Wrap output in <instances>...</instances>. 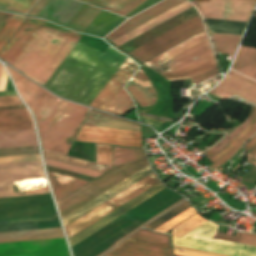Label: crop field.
<instances>
[{
    "label": "crop field",
    "mask_w": 256,
    "mask_h": 256,
    "mask_svg": "<svg viewBox=\"0 0 256 256\" xmlns=\"http://www.w3.org/2000/svg\"><path fill=\"white\" fill-rule=\"evenodd\" d=\"M126 58L110 46L102 53L78 42L44 87L89 106Z\"/></svg>",
    "instance_id": "1"
},
{
    "label": "crop field",
    "mask_w": 256,
    "mask_h": 256,
    "mask_svg": "<svg viewBox=\"0 0 256 256\" xmlns=\"http://www.w3.org/2000/svg\"><path fill=\"white\" fill-rule=\"evenodd\" d=\"M42 149L66 155L87 108L52 96L39 88L31 106Z\"/></svg>",
    "instance_id": "2"
},
{
    "label": "crop field",
    "mask_w": 256,
    "mask_h": 256,
    "mask_svg": "<svg viewBox=\"0 0 256 256\" xmlns=\"http://www.w3.org/2000/svg\"><path fill=\"white\" fill-rule=\"evenodd\" d=\"M81 36L47 22L12 67L43 86Z\"/></svg>",
    "instance_id": "3"
},
{
    "label": "crop field",
    "mask_w": 256,
    "mask_h": 256,
    "mask_svg": "<svg viewBox=\"0 0 256 256\" xmlns=\"http://www.w3.org/2000/svg\"><path fill=\"white\" fill-rule=\"evenodd\" d=\"M143 65L174 82L190 79L217 63L202 32Z\"/></svg>",
    "instance_id": "4"
},
{
    "label": "crop field",
    "mask_w": 256,
    "mask_h": 256,
    "mask_svg": "<svg viewBox=\"0 0 256 256\" xmlns=\"http://www.w3.org/2000/svg\"><path fill=\"white\" fill-rule=\"evenodd\" d=\"M64 237L61 228L0 233V242ZM0 256H69L64 238L0 243Z\"/></svg>",
    "instance_id": "5"
},
{
    "label": "crop field",
    "mask_w": 256,
    "mask_h": 256,
    "mask_svg": "<svg viewBox=\"0 0 256 256\" xmlns=\"http://www.w3.org/2000/svg\"><path fill=\"white\" fill-rule=\"evenodd\" d=\"M146 165H148V163L145 159L115 167L106 172L91 183L57 203L61 218L69 215Z\"/></svg>",
    "instance_id": "6"
},
{
    "label": "crop field",
    "mask_w": 256,
    "mask_h": 256,
    "mask_svg": "<svg viewBox=\"0 0 256 256\" xmlns=\"http://www.w3.org/2000/svg\"><path fill=\"white\" fill-rule=\"evenodd\" d=\"M218 226L205 222L180 239L173 238V245L227 256H256V247L211 239Z\"/></svg>",
    "instance_id": "7"
},
{
    "label": "crop field",
    "mask_w": 256,
    "mask_h": 256,
    "mask_svg": "<svg viewBox=\"0 0 256 256\" xmlns=\"http://www.w3.org/2000/svg\"><path fill=\"white\" fill-rule=\"evenodd\" d=\"M159 182L154 174H150L144 179L140 180L136 184L132 185L128 189L124 190L123 192L119 193L115 197L111 198L107 202L103 203L99 207L95 208L94 210L90 211L86 215L82 216L78 220L74 221L70 225L66 226V232L68 238L72 237L73 235L77 234L81 230L85 229L92 223L96 222L103 216L107 215L111 211L115 210L122 204L126 203L133 197L137 196L141 192L145 191L152 185Z\"/></svg>",
    "instance_id": "8"
},
{
    "label": "crop field",
    "mask_w": 256,
    "mask_h": 256,
    "mask_svg": "<svg viewBox=\"0 0 256 256\" xmlns=\"http://www.w3.org/2000/svg\"><path fill=\"white\" fill-rule=\"evenodd\" d=\"M202 30L201 21L196 17L129 54L143 63Z\"/></svg>",
    "instance_id": "9"
},
{
    "label": "crop field",
    "mask_w": 256,
    "mask_h": 256,
    "mask_svg": "<svg viewBox=\"0 0 256 256\" xmlns=\"http://www.w3.org/2000/svg\"><path fill=\"white\" fill-rule=\"evenodd\" d=\"M32 179H45L40 161L0 165V197L50 193L49 190H35L28 194H13L12 183Z\"/></svg>",
    "instance_id": "10"
},
{
    "label": "crop field",
    "mask_w": 256,
    "mask_h": 256,
    "mask_svg": "<svg viewBox=\"0 0 256 256\" xmlns=\"http://www.w3.org/2000/svg\"><path fill=\"white\" fill-rule=\"evenodd\" d=\"M209 1V0H195ZM197 2L204 18L247 22L256 0H210Z\"/></svg>",
    "instance_id": "11"
},
{
    "label": "crop field",
    "mask_w": 256,
    "mask_h": 256,
    "mask_svg": "<svg viewBox=\"0 0 256 256\" xmlns=\"http://www.w3.org/2000/svg\"><path fill=\"white\" fill-rule=\"evenodd\" d=\"M140 138L136 131L83 126L76 140L141 147Z\"/></svg>",
    "instance_id": "12"
},
{
    "label": "crop field",
    "mask_w": 256,
    "mask_h": 256,
    "mask_svg": "<svg viewBox=\"0 0 256 256\" xmlns=\"http://www.w3.org/2000/svg\"><path fill=\"white\" fill-rule=\"evenodd\" d=\"M105 256H172L167 244L129 237Z\"/></svg>",
    "instance_id": "13"
},
{
    "label": "crop field",
    "mask_w": 256,
    "mask_h": 256,
    "mask_svg": "<svg viewBox=\"0 0 256 256\" xmlns=\"http://www.w3.org/2000/svg\"><path fill=\"white\" fill-rule=\"evenodd\" d=\"M28 20L42 24V25L46 23V21H43V20L27 18L26 21L19 28V30L12 37V39L9 41L7 45L9 46L11 45L14 39L25 27ZM30 21L28 22L26 27L23 29V31L19 34V36L15 39V41L12 43V45L10 47L6 45L5 48L0 52V58L7 61L11 66L42 28V25L30 22Z\"/></svg>",
    "instance_id": "14"
},
{
    "label": "crop field",
    "mask_w": 256,
    "mask_h": 256,
    "mask_svg": "<svg viewBox=\"0 0 256 256\" xmlns=\"http://www.w3.org/2000/svg\"><path fill=\"white\" fill-rule=\"evenodd\" d=\"M137 68L138 65L127 58L90 107L104 111Z\"/></svg>",
    "instance_id": "15"
},
{
    "label": "crop field",
    "mask_w": 256,
    "mask_h": 256,
    "mask_svg": "<svg viewBox=\"0 0 256 256\" xmlns=\"http://www.w3.org/2000/svg\"><path fill=\"white\" fill-rule=\"evenodd\" d=\"M163 188L164 187L160 182L157 183L156 185L152 186L151 188H149L145 192L141 193L140 195H138L134 199L130 200L129 202H127L123 206L119 207L118 209H116L115 211L110 213L109 215L105 216L104 218H102L98 222L94 223L93 225H91L87 229L83 230L82 232H80L76 236L69 239L70 246H73L74 244L78 243L82 239L86 238L87 236H89L93 232H95L98 229H100L101 227L105 226L106 224H108L112 220H114L117 217H119L120 215L124 214L125 212H127L131 208L135 207L139 203L143 202L144 200H146L150 196L154 195L158 191L162 190Z\"/></svg>",
    "instance_id": "16"
},
{
    "label": "crop field",
    "mask_w": 256,
    "mask_h": 256,
    "mask_svg": "<svg viewBox=\"0 0 256 256\" xmlns=\"http://www.w3.org/2000/svg\"><path fill=\"white\" fill-rule=\"evenodd\" d=\"M185 1L187 0H165L145 12L129 19L105 38L111 41Z\"/></svg>",
    "instance_id": "17"
},
{
    "label": "crop field",
    "mask_w": 256,
    "mask_h": 256,
    "mask_svg": "<svg viewBox=\"0 0 256 256\" xmlns=\"http://www.w3.org/2000/svg\"><path fill=\"white\" fill-rule=\"evenodd\" d=\"M218 87L256 104V82L232 70Z\"/></svg>",
    "instance_id": "18"
},
{
    "label": "crop field",
    "mask_w": 256,
    "mask_h": 256,
    "mask_svg": "<svg viewBox=\"0 0 256 256\" xmlns=\"http://www.w3.org/2000/svg\"><path fill=\"white\" fill-rule=\"evenodd\" d=\"M82 5L75 0H50L38 16L66 25Z\"/></svg>",
    "instance_id": "19"
},
{
    "label": "crop field",
    "mask_w": 256,
    "mask_h": 256,
    "mask_svg": "<svg viewBox=\"0 0 256 256\" xmlns=\"http://www.w3.org/2000/svg\"><path fill=\"white\" fill-rule=\"evenodd\" d=\"M141 108L152 106L157 99L156 92L147 78L140 69L132 81L126 87Z\"/></svg>",
    "instance_id": "20"
},
{
    "label": "crop field",
    "mask_w": 256,
    "mask_h": 256,
    "mask_svg": "<svg viewBox=\"0 0 256 256\" xmlns=\"http://www.w3.org/2000/svg\"><path fill=\"white\" fill-rule=\"evenodd\" d=\"M190 7H192V6L187 1V2L173 8L172 10L158 16L157 18L141 25L140 27L126 33L125 35H123V36H121V37H119V38H117V39H115L111 42H113V43H115L116 45L119 46V45L131 40L132 38L142 34L143 32L155 27L156 25L168 20L169 18L179 14L180 12H182V11H184V10L190 8Z\"/></svg>",
    "instance_id": "21"
},
{
    "label": "crop field",
    "mask_w": 256,
    "mask_h": 256,
    "mask_svg": "<svg viewBox=\"0 0 256 256\" xmlns=\"http://www.w3.org/2000/svg\"><path fill=\"white\" fill-rule=\"evenodd\" d=\"M37 145L34 129L0 132V148Z\"/></svg>",
    "instance_id": "22"
},
{
    "label": "crop field",
    "mask_w": 256,
    "mask_h": 256,
    "mask_svg": "<svg viewBox=\"0 0 256 256\" xmlns=\"http://www.w3.org/2000/svg\"><path fill=\"white\" fill-rule=\"evenodd\" d=\"M32 128L25 109L0 111V131Z\"/></svg>",
    "instance_id": "23"
},
{
    "label": "crop field",
    "mask_w": 256,
    "mask_h": 256,
    "mask_svg": "<svg viewBox=\"0 0 256 256\" xmlns=\"http://www.w3.org/2000/svg\"><path fill=\"white\" fill-rule=\"evenodd\" d=\"M48 176L56 197V201H59L60 199L64 198L71 192L75 191L76 189L87 183V181L78 180L66 176L62 177L61 175L52 172H48Z\"/></svg>",
    "instance_id": "24"
},
{
    "label": "crop field",
    "mask_w": 256,
    "mask_h": 256,
    "mask_svg": "<svg viewBox=\"0 0 256 256\" xmlns=\"http://www.w3.org/2000/svg\"><path fill=\"white\" fill-rule=\"evenodd\" d=\"M232 69L256 80V48L241 47Z\"/></svg>",
    "instance_id": "25"
},
{
    "label": "crop field",
    "mask_w": 256,
    "mask_h": 256,
    "mask_svg": "<svg viewBox=\"0 0 256 256\" xmlns=\"http://www.w3.org/2000/svg\"><path fill=\"white\" fill-rule=\"evenodd\" d=\"M118 118H115L111 115H107L104 113H100L97 111H93L91 110L84 125H88V126H95L98 124H102L111 120H115ZM98 127H108V128H117V129H126V130H136V131H140V128L138 125L129 123L127 121L118 119L115 121H111L102 125H98Z\"/></svg>",
    "instance_id": "26"
},
{
    "label": "crop field",
    "mask_w": 256,
    "mask_h": 256,
    "mask_svg": "<svg viewBox=\"0 0 256 256\" xmlns=\"http://www.w3.org/2000/svg\"><path fill=\"white\" fill-rule=\"evenodd\" d=\"M104 10L125 15L144 0H79Z\"/></svg>",
    "instance_id": "27"
},
{
    "label": "crop field",
    "mask_w": 256,
    "mask_h": 256,
    "mask_svg": "<svg viewBox=\"0 0 256 256\" xmlns=\"http://www.w3.org/2000/svg\"><path fill=\"white\" fill-rule=\"evenodd\" d=\"M43 156L46 159H50V160H54V161H58V162H62V163H66V164H70V165H74V166H78V167H82V168H86V169H90V170H94V171H98V172H106L107 170H109L111 167L110 166H106V165H102V164H98V163H94V162H89V161H85V160H81V159H76V158H72V157H68V156H63V155H59V154H55V153H51V152H47V151H43Z\"/></svg>",
    "instance_id": "28"
},
{
    "label": "crop field",
    "mask_w": 256,
    "mask_h": 256,
    "mask_svg": "<svg viewBox=\"0 0 256 256\" xmlns=\"http://www.w3.org/2000/svg\"><path fill=\"white\" fill-rule=\"evenodd\" d=\"M99 11L100 9L84 4L76 15L69 21L67 26L76 30L84 31Z\"/></svg>",
    "instance_id": "29"
},
{
    "label": "crop field",
    "mask_w": 256,
    "mask_h": 256,
    "mask_svg": "<svg viewBox=\"0 0 256 256\" xmlns=\"http://www.w3.org/2000/svg\"><path fill=\"white\" fill-rule=\"evenodd\" d=\"M7 68L10 71L22 98L24 99V101L26 102V104L29 107L33 98H34V96H35V94H36V92H37V90H38V88H39V86L32 83L31 81H29L25 77L15 73L9 67H7Z\"/></svg>",
    "instance_id": "30"
},
{
    "label": "crop field",
    "mask_w": 256,
    "mask_h": 256,
    "mask_svg": "<svg viewBox=\"0 0 256 256\" xmlns=\"http://www.w3.org/2000/svg\"><path fill=\"white\" fill-rule=\"evenodd\" d=\"M114 166L145 158L143 149L113 146Z\"/></svg>",
    "instance_id": "31"
},
{
    "label": "crop field",
    "mask_w": 256,
    "mask_h": 256,
    "mask_svg": "<svg viewBox=\"0 0 256 256\" xmlns=\"http://www.w3.org/2000/svg\"><path fill=\"white\" fill-rule=\"evenodd\" d=\"M219 53L234 54L241 36L211 33Z\"/></svg>",
    "instance_id": "32"
},
{
    "label": "crop field",
    "mask_w": 256,
    "mask_h": 256,
    "mask_svg": "<svg viewBox=\"0 0 256 256\" xmlns=\"http://www.w3.org/2000/svg\"><path fill=\"white\" fill-rule=\"evenodd\" d=\"M131 103L132 101L129 98L128 94L122 88L105 111L122 116Z\"/></svg>",
    "instance_id": "33"
},
{
    "label": "crop field",
    "mask_w": 256,
    "mask_h": 256,
    "mask_svg": "<svg viewBox=\"0 0 256 256\" xmlns=\"http://www.w3.org/2000/svg\"><path fill=\"white\" fill-rule=\"evenodd\" d=\"M254 110H255V106L253 107L251 114L245 123H243L241 126L237 127L225 139H223L220 143L218 142L211 150H209L206 153V156L208 159L211 158L212 156H214L215 154H217L220 150H222L231 140H233L238 134H240L245 129L246 125L248 124V122L250 121V119L254 113Z\"/></svg>",
    "instance_id": "34"
},
{
    "label": "crop field",
    "mask_w": 256,
    "mask_h": 256,
    "mask_svg": "<svg viewBox=\"0 0 256 256\" xmlns=\"http://www.w3.org/2000/svg\"><path fill=\"white\" fill-rule=\"evenodd\" d=\"M204 222L205 220L197 214L179 226H175L176 228L172 229V236L180 238Z\"/></svg>",
    "instance_id": "35"
},
{
    "label": "crop field",
    "mask_w": 256,
    "mask_h": 256,
    "mask_svg": "<svg viewBox=\"0 0 256 256\" xmlns=\"http://www.w3.org/2000/svg\"><path fill=\"white\" fill-rule=\"evenodd\" d=\"M37 0H0V7L27 13Z\"/></svg>",
    "instance_id": "36"
},
{
    "label": "crop field",
    "mask_w": 256,
    "mask_h": 256,
    "mask_svg": "<svg viewBox=\"0 0 256 256\" xmlns=\"http://www.w3.org/2000/svg\"><path fill=\"white\" fill-rule=\"evenodd\" d=\"M189 207H191V206L186 201L185 203L181 204L180 206H178L177 208H175L172 211L168 212L167 214H165V215L163 214L164 216L160 217L159 219H157V220L155 219L156 221L152 222L151 224L147 225L144 228L154 230L157 227H159L162 224H164L165 222H167L170 219H172L173 217H175L176 215L180 214L184 210L188 209Z\"/></svg>",
    "instance_id": "37"
},
{
    "label": "crop field",
    "mask_w": 256,
    "mask_h": 256,
    "mask_svg": "<svg viewBox=\"0 0 256 256\" xmlns=\"http://www.w3.org/2000/svg\"><path fill=\"white\" fill-rule=\"evenodd\" d=\"M96 162L112 166V146L96 144Z\"/></svg>",
    "instance_id": "38"
},
{
    "label": "crop field",
    "mask_w": 256,
    "mask_h": 256,
    "mask_svg": "<svg viewBox=\"0 0 256 256\" xmlns=\"http://www.w3.org/2000/svg\"><path fill=\"white\" fill-rule=\"evenodd\" d=\"M255 120H256V111L253 115V118H252L250 124L247 126V128L234 141H232L229 145H227V147L224 150H222L220 153H218L217 155H215L214 157H212L209 160L214 163L221 156H223L225 153H227L231 148H233L249 132V130L254 125Z\"/></svg>",
    "instance_id": "39"
},
{
    "label": "crop field",
    "mask_w": 256,
    "mask_h": 256,
    "mask_svg": "<svg viewBox=\"0 0 256 256\" xmlns=\"http://www.w3.org/2000/svg\"><path fill=\"white\" fill-rule=\"evenodd\" d=\"M21 22L10 20L6 27L0 33V50L8 41V39L12 36V34L16 31V29L20 26Z\"/></svg>",
    "instance_id": "40"
},
{
    "label": "crop field",
    "mask_w": 256,
    "mask_h": 256,
    "mask_svg": "<svg viewBox=\"0 0 256 256\" xmlns=\"http://www.w3.org/2000/svg\"><path fill=\"white\" fill-rule=\"evenodd\" d=\"M194 213H196V212L191 207L188 210H186L183 213H181L180 215H178L175 218H173L172 220H170L169 222L165 223L161 227L157 228L156 231L165 232V231L169 230L170 228H172L173 226H175L178 223H180L181 221L185 220L189 216L193 215Z\"/></svg>",
    "instance_id": "41"
},
{
    "label": "crop field",
    "mask_w": 256,
    "mask_h": 256,
    "mask_svg": "<svg viewBox=\"0 0 256 256\" xmlns=\"http://www.w3.org/2000/svg\"><path fill=\"white\" fill-rule=\"evenodd\" d=\"M45 164L48 166H52V167H56V168H60L68 171H73V172H77V173H81V174H85L93 177H97L101 175V173H97V172H93V171H89V170H85V169H81V168H77V167H73V166H69V165H65V164H61V163H57L49 160H45Z\"/></svg>",
    "instance_id": "42"
},
{
    "label": "crop field",
    "mask_w": 256,
    "mask_h": 256,
    "mask_svg": "<svg viewBox=\"0 0 256 256\" xmlns=\"http://www.w3.org/2000/svg\"><path fill=\"white\" fill-rule=\"evenodd\" d=\"M256 132V124L254 125L253 129L233 148L231 149L227 154H225L222 158H220L217 162H215L212 166H210V169H215L216 167H218L219 165L223 164L225 161H227L234 153H236L242 143L251 135H253Z\"/></svg>",
    "instance_id": "43"
},
{
    "label": "crop field",
    "mask_w": 256,
    "mask_h": 256,
    "mask_svg": "<svg viewBox=\"0 0 256 256\" xmlns=\"http://www.w3.org/2000/svg\"><path fill=\"white\" fill-rule=\"evenodd\" d=\"M39 153L38 146L0 149V156L22 155Z\"/></svg>",
    "instance_id": "44"
},
{
    "label": "crop field",
    "mask_w": 256,
    "mask_h": 256,
    "mask_svg": "<svg viewBox=\"0 0 256 256\" xmlns=\"http://www.w3.org/2000/svg\"><path fill=\"white\" fill-rule=\"evenodd\" d=\"M132 237H137V238H142V239H147V240H152V241H157V242H162V243L169 244L168 236L153 233V232H148V231H144V230H141L138 233L132 235Z\"/></svg>",
    "instance_id": "45"
},
{
    "label": "crop field",
    "mask_w": 256,
    "mask_h": 256,
    "mask_svg": "<svg viewBox=\"0 0 256 256\" xmlns=\"http://www.w3.org/2000/svg\"><path fill=\"white\" fill-rule=\"evenodd\" d=\"M35 160H41L39 154L0 157V163H12V162H23V161H35Z\"/></svg>",
    "instance_id": "46"
},
{
    "label": "crop field",
    "mask_w": 256,
    "mask_h": 256,
    "mask_svg": "<svg viewBox=\"0 0 256 256\" xmlns=\"http://www.w3.org/2000/svg\"><path fill=\"white\" fill-rule=\"evenodd\" d=\"M218 74V70H217V66L209 69L208 71L200 74L199 76L195 77L194 80L196 82V84H199L200 82L214 76V75H217ZM191 82L193 84V86H195V83L193 81V79H191Z\"/></svg>",
    "instance_id": "47"
},
{
    "label": "crop field",
    "mask_w": 256,
    "mask_h": 256,
    "mask_svg": "<svg viewBox=\"0 0 256 256\" xmlns=\"http://www.w3.org/2000/svg\"><path fill=\"white\" fill-rule=\"evenodd\" d=\"M173 251H174V254L181 255V256H218V255L207 254V253L191 251V250L175 248V247H173Z\"/></svg>",
    "instance_id": "48"
},
{
    "label": "crop field",
    "mask_w": 256,
    "mask_h": 256,
    "mask_svg": "<svg viewBox=\"0 0 256 256\" xmlns=\"http://www.w3.org/2000/svg\"><path fill=\"white\" fill-rule=\"evenodd\" d=\"M22 104L17 96L11 97H0V106H7V105H18Z\"/></svg>",
    "instance_id": "49"
},
{
    "label": "crop field",
    "mask_w": 256,
    "mask_h": 256,
    "mask_svg": "<svg viewBox=\"0 0 256 256\" xmlns=\"http://www.w3.org/2000/svg\"><path fill=\"white\" fill-rule=\"evenodd\" d=\"M238 243L256 246V235H250V234L243 233Z\"/></svg>",
    "instance_id": "50"
},
{
    "label": "crop field",
    "mask_w": 256,
    "mask_h": 256,
    "mask_svg": "<svg viewBox=\"0 0 256 256\" xmlns=\"http://www.w3.org/2000/svg\"><path fill=\"white\" fill-rule=\"evenodd\" d=\"M241 234H242L241 232H237L236 236L232 237V236L224 235L217 232L213 238L237 243Z\"/></svg>",
    "instance_id": "51"
},
{
    "label": "crop field",
    "mask_w": 256,
    "mask_h": 256,
    "mask_svg": "<svg viewBox=\"0 0 256 256\" xmlns=\"http://www.w3.org/2000/svg\"><path fill=\"white\" fill-rule=\"evenodd\" d=\"M13 14L5 13L0 11V31L5 26L10 18H12Z\"/></svg>",
    "instance_id": "52"
},
{
    "label": "crop field",
    "mask_w": 256,
    "mask_h": 256,
    "mask_svg": "<svg viewBox=\"0 0 256 256\" xmlns=\"http://www.w3.org/2000/svg\"><path fill=\"white\" fill-rule=\"evenodd\" d=\"M209 93H211V94H213V95H215V96H217L221 99L233 96V95H231V94H229V93H227V92H225V91H223V90H221L217 87L214 90L210 91Z\"/></svg>",
    "instance_id": "53"
},
{
    "label": "crop field",
    "mask_w": 256,
    "mask_h": 256,
    "mask_svg": "<svg viewBox=\"0 0 256 256\" xmlns=\"http://www.w3.org/2000/svg\"><path fill=\"white\" fill-rule=\"evenodd\" d=\"M6 78H7V74L4 71V69H2V74H1V79H0V91L4 90V88H5Z\"/></svg>",
    "instance_id": "54"
},
{
    "label": "crop field",
    "mask_w": 256,
    "mask_h": 256,
    "mask_svg": "<svg viewBox=\"0 0 256 256\" xmlns=\"http://www.w3.org/2000/svg\"><path fill=\"white\" fill-rule=\"evenodd\" d=\"M256 145V136L246 145L247 153Z\"/></svg>",
    "instance_id": "55"
},
{
    "label": "crop field",
    "mask_w": 256,
    "mask_h": 256,
    "mask_svg": "<svg viewBox=\"0 0 256 256\" xmlns=\"http://www.w3.org/2000/svg\"><path fill=\"white\" fill-rule=\"evenodd\" d=\"M16 95L15 91L0 92V96H11Z\"/></svg>",
    "instance_id": "56"
},
{
    "label": "crop field",
    "mask_w": 256,
    "mask_h": 256,
    "mask_svg": "<svg viewBox=\"0 0 256 256\" xmlns=\"http://www.w3.org/2000/svg\"><path fill=\"white\" fill-rule=\"evenodd\" d=\"M249 154L254 157L256 155V147Z\"/></svg>",
    "instance_id": "57"
},
{
    "label": "crop field",
    "mask_w": 256,
    "mask_h": 256,
    "mask_svg": "<svg viewBox=\"0 0 256 256\" xmlns=\"http://www.w3.org/2000/svg\"><path fill=\"white\" fill-rule=\"evenodd\" d=\"M1 69H2V66L0 65V74H1Z\"/></svg>",
    "instance_id": "58"
},
{
    "label": "crop field",
    "mask_w": 256,
    "mask_h": 256,
    "mask_svg": "<svg viewBox=\"0 0 256 256\" xmlns=\"http://www.w3.org/2000/svg\"><path fill=\"white\" fill-rule=\"evenodd\" d=\"M233 130H234V129H233ZM233 130H232V131H233ZM225 137H226V136H225ZM225 137H224V138H225ZM219 142H220V141H219Z\"/></svg>",
    "instance_id": "59"
},
{
    "label": "crop field",
    "mask_w": 256,
    "mask_h": 256,
    "mask_svg": "<svg viewBox=\"0 0 256 256\" xmlns=\"http://www.w3.org/2000/svg\"><path fill=\"white\" fill-rule=\"evenodd\" d=\"M254 158H256V156Z\"/></svg>",
    "instance_id": "60"
},
{
    "label": "crop field",
    "mask_w": 256,
    "mask_h": 256,
    "mask_svg": "<svg viewBox=\"0 0 256 256\" xmlns=\"http://www.w3.org/2000/svg\"><path fill=\"white\" fill-rule=\"evenodd\" d=\"M174 256H176V255H174Z\"/></svg>",
    "instance_id": "61"
}]
</instances>
